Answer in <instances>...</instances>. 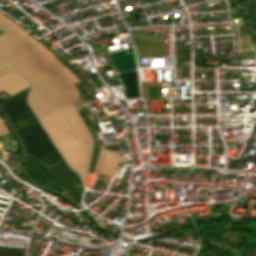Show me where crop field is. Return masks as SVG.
Instances as JSON below:
<instances>
[{
    "label": "crop field",
    "instance_id": "obj_1",
    "mask_svg": "<svg viewBox=\"0 0 256 256\" xmlns=\"http://www.w3.org/2000/svg\"><path fill=\"white\" fill-rule=\"evenodd\" d=\"M39 120L66 163L84 183L94 141L75 107L70 104Z\"/></svg>",
    "mask_w": 256,
    "mask_h": 256
},
{
    "label": "crop field",
    "instance_id": "obj_2",
    "mask_svg": "<svg viewBox=\"0 0 256 256\" xmlns=\"http://www.w3.org/2000/svg\"><path fill=\"white\" fill-rule=\"evenodd\" d=\"M30 88L31 86L0 103L5 116L21 138L26 155L33 157L48 168L59 164L71 175L73 185L82 187L78 177L67 168L26 104V96Z\"/></svg>",
    "mask_w": 256,
    "mask_h": 256
},
{
    "label": "crop field",
    "instance_id": "obj_3",
    "mask_svg": "<svg viewBox=\"0 0 256 256\" xmlns=\"http://www.w3.org/2000/svg\"><path fill=\"white\" fill-rule=\"evenodd\" d=\"M15 69L33 84L28 103L37 118L79 100L75 85L68 87L60 77L46 81L31 62Z\"/></svg>",
    "mask_w": 256,
    "mask_h": 256
},
{
    "label": "crop field",
    "instance_id": "obj_4",
    "mask_svg": "<svg viewBox=\"0 0 256 256\" xmlns=\"http://www.w3.org/2000/svg\"><path fill=\"white\" fill-rule=\"evenodd\" d=\"M13 68L31 61L46 80L60 76L68 86L79 82L54 56L31 37L0 55Z\"/></svg>",
    "mask_w": 256,
    "mask_h": 256
},
{
    "label": "crop field",
    "instance_id": "obj_5",
    "mask_svg": "<svg viewBox=\"0 0 256 256\" xmlns=\"http://www.w3.org/2000/svg\"><path fill=\"white\" fill-rule=\"evenodd\" d=\"M132 38L139 57L164 56L163 35Z\"/></svg>",
    "mask_w": 256,
    "mask_h": 256
},
{
    "label": "crop field",
    "instance_id": "obj_6",
    "mask_svg": "<svg viewBox=\"0 0 256 256\" xmlns=\"http://www.w3.org/2000/svg\"><path fill=\"white\" fill-rule=\"evenodd\" d=\"M251 21L253 31L256 28V0H250L239 4Z\"/></svg>",
    "mask_w": 256,
    "mask_h": 256
},
{
    "label": "crop field",
    "instance_id": "obj_7",
    "mask_svg": "<svg viewBox=\"0 0 256 256\" xmlns=\"http://www.w3.org/2000/svg\"><path fill=\"white\" fill-rule=\"evenodd\" d=\"M26 251L0 248V256H25Z\"/></svg>",
    "mask_w": 256,
    "mask_h": 256
},
{
    "label": "crop field",
    "instance_id": "obj_8",
    "mask_svg": "<svg viewBox=\"0 0 256 256\" xmlns=\"http://www.w3.org/2000/svg\"><path fill=\"white\" fill-rule=\"evenodd\" d=\"M190 61L189 48H183V52L176 53V62Z\"/></svg>",
    "mask_w": 256,
    "mask_h": 256
},
{
    "label": "crop field",
    "instance_id": "obj_9",
    "mask_svg": "<svg viewBox=\"0 0 256 256\" xmlns=\"http://www.w3.org/2000/svg\"><path fill=\"white\" fill-rule=\"evenodd\" d=\"M12 23H14V22L8 20L5 16L0 14V28L1 29L12 24Z\"/></svg>",
    "mask_w": 256,
    "mask_h": 256
},
{
    "label": "crop field",
    "instance_id": "obj_10",
    "mask_svg": "<svg viewBox=\"0 0 256 256\" xmlns=\"http://www.w3.org/2000/svg\"><path fill=\"white\" fill-rule=\"evenodd\" d=\"M7 133L8 131L6 130V128L4 127L3 123L0 120V135L7 134Z\"/></svg>",
    "mask_w": 256,
    "mask_h": 256
},
{
    "label": "crop field",
    "instance_id": "obj_11",
    "mask_svg": "<svg viewBox=\"0 0 256 256\" xmlns=\"http://www.w3.org/2000/svg\"><path fill=\"white\" fill-rule=\"evenodd\" d=\"M244 1H247V0H235V2H236L237 4L242 3V2H244Z\"/></svg>",
    "mask_w": 256,
    "mask_h": 256
},
{
    "label": "crop field",
    "instance_id": "obj_12",
    "mask_svg": "<svg viewBox=\"0 0 256 256\" xmlns=\"http://www.w3.org/2000/svg\"><path fill=\"white\" fill-rule=\"evenodd\" d=\"M2 33H4V32H2V31L0 30V34H2Z\"/></svg>",
    "mask_w": 256,
    "mask_h": 256
}]
</instances>
